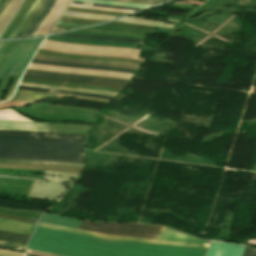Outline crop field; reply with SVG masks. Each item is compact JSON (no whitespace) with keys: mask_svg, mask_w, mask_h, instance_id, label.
Here are the masks:
<instances>
[{"mask_svg":"<svg viewBox=\"0 0 256 256\" xmlns=\"http://www.w3.org/2000/svg\"><path fill=\"white\" fill-rule=\"evenodd\" d=\"M59 35L73 36V37H82V38H90V39H110V40H119V41L144 43V41L131 40V39H123V38H114V37L88 36V35H75V34H59Z\"/></svg>","mask_w":256,"mask_h":256,"instance_id":"24","label":"crop field"},{"mask_svg":"<svg viewBox=\"0 0 256 256\" xmlns=\"http://www.w3.org/2000/svg\"><path fill=\"white\" fill-rule=\"evenodd\" d=\"M55 94L17 89L12 100L35 103L40 100L53 98Z\"/></svg>","mask_w":256,"mask_h":256,"instance_id":"10","label":"crop field"},{"mask_svg":"<svg viewBox=\"0 0 256 256\" xmlns=\"http://www.w3.org/2000/svg\"><path fill=\"white\" fill-rule=\"evenodd\" d=\"M34 234L48 237V238L58 239L62 241H67V242L85 244V245L102 247V248L118 249V250L149 252V253L166 254V255H174V256H204L205 255V253H198V252L162 250V249H152V248H144V247H136V246L101 243V242L89 241V240H84V239H79V238L54 234V233L38 231V230H36Z\"/></svg>","mask_w":256,"mask_h":256,"instance_id":"6","label":"crop field"},{"mask_svg":"<svg viewBox=\"0 0 256 256\" xmlns=\"http://www.w3.org/2000/svg\"><path fill=\"white\" fill-rule=\"evenodd\" d=\"M0 163L53 165V166H73V167H82L83 166V163H75V162L21 160V159H0Z\"/></svg>","mask_w":256,"mask_h":256,"instance_id":"11","label":"crop field"},{"mask_svg":"<svg viewBox=\"0 0 256 256\" xmlns=\"http://www.w3.org/2000/svg\"><path fill=\"white\" fill-rule=\"evenodd\" d=\"M15 44H16V42H10V44L7 46L5 52L0 60V71Z\"/></svg>","mask_w":256,"mask_h":256,"instance_id":"30","label":"crop field"},{"mask_svg":"<svg viewBox=\"0 0 256 256\" xmlns=\"http://www.w3.org/2000/svg\"><path fill=\"white\" fill-rule=\"evenodd\" d=\"M8 43H9V42H6L5 45L2 47V49H1V51H0V58H1V56H2V54H3V52H4V50H5L6 46L8 45Z\"/></svg>","mask_w":256,"mask_h":256,"instance_id":"39","label":"crop field"},{"mask_svg":"<svg viewBox=\"0 0 256 256\" xmlns=\"http://www.w3.org/2000/svg\"><path fill=\"white\" fill-rule=\"evenodd\" d=\"M109 1L145 3V4L156 5V4L162 3L167 0H109Z\"/></svg>","mask_w":256,"mask_h":256,"instance_id":"28","label":"crop field"},{"mask_svg":"<svg viewBox=\"0 0 256 256\" xmlns=\"http://www.w3.org/2000/svg\"><path fill=\"white\" fill-rule=\"evenodd\" d=\"M36 229L43 230V231L54 232V233H59V234H64V235H69V236H74V237H79V238H84V239H89V240L108 242V243L136 245V246H145V247L162 248V249L184 250V251H198V252H206L207 251V250H202V249L182 248V247L154 245V244H146V243H138V242L114 241V240L102 239V238L85 237V236H81V235H76V234H72V233H68V232L43 228V227H39V226H36Z\"/></svg>","mask_w":256,"mask_h":256,"instance_id":"8","label":"crop field"},{"mask_svg":"<svg viewBox=\"0 0 256 256\" xmlns=\"http://www.w3.org/2000/svg\"><path fill=\"white\" fill-rule=\"evenodd\" d=\"M58 0H49L43 10L40 12L32 26L28 29V31L24 34L23 37H29L33 36V34L36 32V30L39 28V26L42 24L44 19L47 17L49 12L52 10L53 6Z\"/></svg>","mask_w":256,"mask_h":256,"instance_id":"13","label":"crop field"},{"mask_svg":"<svg viewBox=\"0 0 256 256\" xmlns=\"http://www.w3.org/2000/svg\"><path fill=\"white\" fill-rule=\"evenodd\" d=\"M36 55H39V56H47V57H55V58H63V59H72V60H84V61H100V62L127 63V62L106 61V60H92V59H81V58L59 57V56H53V55H47V54H40V53H36ZM127 64H133V65H138V66H140L139 64H135V63H127Z\"/></svg>","mask_w":256,"mask_h":256,"instance_id":"25","label":"crop field"},{"mask_svg":"<svg viewBox=\"0 0 256 256\" xmlns=\"http://www.w3.org/2000/svg\"><path fill=\"white\" fill-rule=\"evenodd\" d=\"M63 16L72 17V18L102 20V21H108V20L117 18L116 16L94 15V14H86V13H78V12H70V11H66Z\"/></svg>","mask_w":256,"mask_h":256,"instance_id":"18","label":"crop field"},{"mask_svg":"<svg viewBox=\"0 0 256 256\" xmlns=\"http://www.w3.org/2000/svg\"><path fill=\"white\" fill-rule=\"evenodd\" d=\"M28 256H35V255H30V254H27Z\"/></svg>","mask_w":256,"mask_h":256,"instance_id":"42","label":"crop field"},{"mask_svg":"<svg viewBox=\"0 0 256 256\" xmlns=\"http://www.w3.org/2000/svg\"><path fill=\"white\" fill-rule=\"evenodd\" d=\"M31 62H33V63H39V64H47V65L77 67V68L111 70V71H121V72H131V73H134V72H135L134 70H127V69L107 68V67H95V66H84V65L63 64V63H52V62H44V61H36V60H32Z\"/></svg>","mask_w":256,"mask_h":256,"instance_id":"17","label":"crop field"},{"mask_svg":"<svg viewBox=\"0 0 256 256\" xmlns=\"http://www.w3.org/2000/svg\"><path fill=\"white\" fill-rule=\"evenodd\" d=\"M39 51H41V52H48V53H54V54H66V55L85 56V57H100V58L125 59V60H131V61L144 62V61L134 60V59H128V58H116V57H101V56L78 55V54H69V53L49 52V51H42V50H39Z\"/></svg>","mask_w":256,"mask_h":256,"instance_id":"31","label":"crop field"},{"mask_svg":"<svg viewBox=\"0 0 256 256\" xmlns=\"http://www.w3.org/2000/svg\"><path fill=\"white\" fill-rule=\"evenodd\" d=\"M21 89H29V90H38V91H46V92H53L58 94H68V95H78V96H88V97H95L101 99L110 100L112 97L109 96H101V95H93V94H85V93H77V92H69V91H61V90H53V89H43V88H33V87H23L18 86Z\"/></svg>","mask_w":256,"mask_h":256,"instance_id":"19","label":"crop field"},{"mask_svg":"<svg viewBox=\"0 0 256 256\" xmlns=\"http://www.w3.org/2000/svg\"><path fill=\"white\" fill-rule=\"evenodd\" d=\"M0 244L11 245V246H16V247H22V248L26 249V246H24V245L12 244V243L1 242V241H0ZM5 245H0V249L16 251V252H22V253L24 251V249H22V248L10 247V246H5ZM24 253H25V251H24Z\"/></svg>","mask_w":256,"mask_h":256,"instance_id":"26","label":"crop field"},{"mask_svg":"<svg viewBox=\"0 0 256 256\" xmlns=\"http://www.w3.org/2000/svg\"><path fill=\"white\" fill-rule=\"evenodd\" d=\"M29 237H30L29 235H23V234L0 231V240L1 241H7V242L26 245L27 244V239Z\"/></svg>","mask_w":256,"mask_h":256,"instance_id":"16","label":"crop field"},{"mask_svg":"<svg viewBox=\"0 0 256 256\" xmlns=\"http://www.w3.org/2000/svg\"><path fill=\"white\" fill-rule=\"evenodd\" d=\"M11 2H12V0H7L5 2V4L3 5V7L0 10V18L4 14V12L6 11V9L8 8V6L10 5Z\"/></svg>","mask_w":256,"mask_h":256,"instance_id":"36","label":"crop field"},{"mask_svg":"<svg viewBox=\"0 0 256 256\" xmlns=\"http://www.w3.org/2000/svg\"><path fill=\"white\" fill-rule=\"evenodd\" d=\"M4 43H5V42H4ZM2 46H3V45H2ZM2 46H1V47H2Z\"/></svg>","mask_w":256,"mask_h":256,"instance_id":"43","label":"crop field"},{"mask_svg":"<svg viewBox=\"0 0 256 256\" xmlns=\"http://www.w3.org/2000/svg\"><path fill=\"white\" fill-rule=\"evenodd\" d=\"M0 213L37 220L41 212L17 211L0 207Z\"/></svg>","mask_w":256,"mask_h":256,"instance_id":"20","label":"crop field"},{"mask_svg":"<svg viewBox=\"0 0 256 256\" xmlns=\"http://www.w3.org/2000/svg\"><path fill=\"white\" fill-rule=\"evenodd\" d=\"M25 2H26V1H25ZM25 2H24V4H25ZM24 4L22 5V7L24 6ZM22 7L20 8V10L22 9ZM20 10H19V11H20ZM19 11H18V13H19ZM18 13H17V14H18ZM17 14H16V16H17ZM16 16H15V17H16ZM15 17H14V19H15ZM14 19H13V20H14ZM13 20H12V21H13ZM11 23H12V22H11ZM9 26H10V25H9ZM7 29H8V28H7ZM7 29H6V30H7ZM5 32H6V31H5ZM5 32H4V33H5ZM4 33L1 35L0 38H2V36L4 35Z\"/></svg>","mask_w":256,"mask_h":256,"instance_id":"40","label":"crop field"},{"mask_svg":"<svg viewBox=\"0 0 256 256\" xmlns=\"http://www.w3.org/2000/svg\"><path fill=\"white\" fill-rule=\"evenodd\" d=\"M33 2H34V0H33ZM33 2H32V3H33ZM31 5H32V4H31ZM31 5H30V6H31ZM28 9H29V8H28ZM28 9H27V10H28ZM26 12H27V11H26ZM26 12H25V13H26ZM25 15H26V14H25ZM23 16H24V15H23ZM16 26H17V25H16ZM13 30H14V29H13ZM12 33H13V32H12ZM10 34H11V33H10ZM9 36H10V35H9ZM9 36H8V38H9Z\"/></svg>","mask_w":256,"mask_h":256,"instance_id":"41","label":"crop field"},{"mask_svg":"<svg viewBox=\"0 0 256 256\" xmlns=\"http://www.w3.org/2000/svg\"><path fill=\"white\" fill-rule=\"evenodd\" d=\"M34 59H38V60H50V61H60V62H68V63H76V64H86V65L121 67V68L135 69V70H138V68H139L138 66L127 65V64L72 61V60H63V59H54V58L38 57V56H35Z\"/></svg>","mask_w":256,"mask_h":256,"instance_id":"14","label":"crop field"},{"mask_svg":"<svg viewBox=\"0 0 256 256\" xmlns=\"http://www.w3.org/2000/svg\"><path fill=\"white\" fill-rule=\"evenodd\" d=\"M27 249L61 256H166L149 253L102 249L67 243L33 235Z\"/></svg>","mask_w":256,"mask_h":256,"instance_id":"2","label":"crop field"},{"mask_svg":"<svg viewBox=\"0 0 256 256\" xmlns=\"http://www.w3.org/2000/svg\"><path fill=\"white\" fill-rule=\"evenodd\" d=\"M48 0H42L40 5L37 7V9L34 11V13L31 15V17L28 19V21L22 26V28L19 30V32L16 34L15 37H21L25 31L30 27V25L33 23L41 9L44 7Z\"/></svg>","mask_w":256,"mask_h":256,"instance_id":"22","label":"crop field"},{"mask_svg":"<svg viewBox=\"0 0 256 256\" xmlns=\"http://www.w3.org/2000/svg\"><path fill=\"white\" fill-rule=\"evenodd\" d=\"M51 37L77 40V41H87V42L116 43V44H127V45H135V46H143L144 45V44H138V43H128V42H119V41L89 40V39H81V38L64 37V36H58V35H54Z\"/></svg>","mask_w":256,"mask_h":256,"instance_id":"23","label":"crop field"},{"mask_svg":"<svg viewBox=\"0 0 256 256\" xmlns=\"http://www.w3.org/2000/svg\"><path fill=\"white\" fill-rule=\"evenodd\" d=\"M72 3L81 4V5H88V6L113 7V8H122V9L139 10V8H127V7L106 6V5H97V4L81 3V2H75V1H73Z\"/></svg>","mask_w":256,"mask_h":256,"instance_id":"32","label":"crop field"},{"mask_svg":"<svg viewBox=\"0 0 256 256\" xmlns=\"http://www.w3.org/2000/svg\"><path fill=\"white\" fill-rule=\"evenodd\" d=\"M32 0H27L25 6L23 7V9L20 11V13L18 14V16L16 17V19L13 21V23L11 24V26L9 27V29L7 30V32L5 33V35L3 36V38H7V36L9 35L10 31L12 30V28L14 27V25L17 23V21L21 18V16L24 14L25 10L27 9V7L29 6V4L31 3Z\"/></svg>","mask_w":256,"mask_h":256,"instance_id":"27","label":"crop field"},{"mask_svg":"<svg viewBox=\"0 0 256 256\" xmlns=\"http://www.w3.org/2000/svg\"><path fill=\"white\" fill-rule=\"evenodd\" d=\"M1 138L19 139H38V140H57L84 142L86 135L78 134H59V133H39V132H20V131H1Z\"/></svg>","mask_w":256,"mask_h":256,"instance_id":"7","label":"crop field"},{"mask_svg":"<svg viewBox=\"0 0 256 256\" xmlns=\"http://www.w3.org/2000/svg\"><path fill=\"white\" fill-rule=\"evenodd\" d=\"M39 221L49 223V224L74 228V229H77V227L80 223L79 220L69 219V218L51 215V214H47V213H44V215L41 217V219Z\"/></svg>","mask_w":256,"mask_h":256,"instance_id":"12","label":"crop field"},{"mask_svg":"<svg viewBox=\"0 0 256 256\" xmlns=\"http://www.w3.org/2000/svg\"><path fill=\"white\" fill-rule=\"evenodd\" d=\"M0 256H24V254L0 250Z\"/></svg>","mask_w":256,"mask_h":256,"instance_id":"34","label":"crop field"},{"mask_svg":"<svg viewBox=\"0 0 256 256\" xmlns=\"http://www.w3.org/2000/svg\"><path fill=\"white\" fill-rule=\"evenodd\" d=\"M43 39L44 38L17 42V44L13 48L3 70L0 73V78H3L0 84V93L8 76L9 75L15 76L3 101L10 99L26 66L32 59L34 53L36 52L37 48L39 47Z\"/></svg>","mask_w":256,"mask_h":256,"instance_id":"3","label":"crop field"},{"mask_svg":"<svg viewBox=\"0 0 256 256\" xmlns=\"http://www.w3.org/2000/svg\"><path fill=\"white\" fill-rule=\"evenodd\" d=\"M83 143L0 138L1 158L83 162Z\"/></svg>","mask_w":256,"mask_h":256,"instance_id":"1","label":"crop field"},{"mask_svg":"<svg viewBox=\"0 0 256 256\" xmlns=\"http://www.w3.org/2000/svg\"><path fill=\"white\" fill-rule=\"evenodd\" d=\"M73 7H79V8H86V9H96V10H105V11H115V12H125V13H132L134 11L132 10H122V9H112V8H97V7H87V6H79V5H72Z\"/></svg>","mask_w":256,"mask_h":256,"instance_id":"29","label":"crop field"},{"mask_svg":"<svg viewBox=\"0 0 256 256\" xmlns=\"http://www.w3.org/2000/svg\"><path fill=\"white\" fill-rule=\"evenodd\" d=\"M78 229L97 233L156 239L161 227L129 223H92L82 221Z\"/></svg>","mask_w":256,"mask_h":256,"instance_id":"4","label":"crop field"},{"mask_svg":"<svg viewBox=\"0 0 256 256\" xmlns=\"http://www.w3.org/2000/svg\"><path fill=\"white\" fill-rule=\"evenodd\" d=\"M69 1L70 0H59L34 36L49 33L54 23L68 6Z\"/></svg>","mask_w":256,"mask_h":256,"instance_id":"9","label":"crop field"},{"mask_svg":"<svg viewBox=\"0 0 256 256\" xmlns=\"http://www.w3.org/2000/svg\"><path fill=\"white\" fill-rule=\"evenodd\" d=\"M68 9L86 10V9H78V8H72V7H69ZM89 11H96V10H89ZM98 12H104V13H115V12H105V11H98ZM117 14H125V13H117Z\"/></svg>","mask_w":256,"mask_h":256,"instance_id":"38","label":"crop field"},{"mask_svg":"<svg viewBox=\"0 0 256 256\" xmlns=\"http://www.w3.org/2000/svg\"><path fill=\"white\" fill-rule=\"evenodd\" d=\"M40 1H41V0H39V1L36 3V5L34 6L33 10L37 7V5L40 3ZM33 10L31 11V13L33 12ZM31 13L28 15V17L25 19V21L22 23V25L27 21V19H28L29 16L31 15ZM22 25H21V26H22ZM21 26L19 27V29L21 28ZM19 29H18V30H19ZM18 30H17V31H18ZM17 31H16V33H17ZM16 33H15V34H16ZM15 34H14V35H15ZM14 35H13V37H14ZM13 37H12V38H13Z\"/></svg>","mask_w":256,"mask_h":256,"instance_id":"37","label":"crop field"},{"mask_svg":"<svg viewBox=\"0 0 256 256\" xmlns=\"http://www.w3.org/2000/svg\"><path fill=\"white\" fill-rule=\"evenodd\" d=\"M19 85H23V86H33V87H43V88H53V89H62V90H70V91H78V92H86V93L110 95V96L116 95L115 93L104 92V91H95V90H86V89H72V88H60V87H52V86H45V85H38V84L23 83V82H20Z\"/></svg>","mask_w":256,"mask_h":256,"instance_id":"21","label":"crop field"},{"mask_svg":"<svg viewBox=\"0 0 256 256\" xmlns=\"http://www.w3.org/2000/svg\"><path fill=\"white\" fill-rule=\"evenodd\" d=\"M23 77L122 90L128 81L26 70Z\"/></svg>","mask_w":256,"mask_h":256,"instance_id":"5","label":"crop field"},{"mask_svg":"<svg viewBox=\"0 0 256 256\" xmlns=\"http://www.w3.org/2000/svg\"><path fill=\"white\" fill-rule=\"evenodd\" d=\"M117 22L142 24V25H151V26H159V27H165V28L174 29V24H172V23H166V22H160V21L136 18V17H125V18H122L120 20H117Z\"/></svg>","mask_w":256,"mask_h":256,"instance_id":"15","label":"crop field"},{"mask_svg":"<svg viewBox=\"0 0 256 256\" xmlns=\"http://www.w3.org/2000/svg\"><path fill=\"white\" fill-rule=\"evenodd\" d=\"M0 217L36 223L35 220H29V219L18 218V217H13V216H7V215H2V214H0Z\"/></svg>","mask_w":256,"mask_h":256,"instance_id":"35","label":"crop field"},{"mask_svg":"<svg viewBox=\"0 0 256 256\" xmlns=\"http://www.w3.org/2000/svg\"><path fill=\"white\" fill-rule=\"evenodd\" d=\"M242 256H256V250L245 247Z\"/></svg>","mask_w":256,"mask_h":256,"instance_id":"33","label":"crop field"}]
</instances>
